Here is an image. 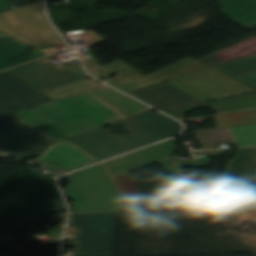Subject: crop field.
Returning <instances> with one entry per match:
<instances>
[{
    "mask_svg": "<svg viewBox=\"0 0 256 256\" xmlns=\"http://www.w3.org/2000/svg\"><path fill=\"white\" fill-rule=\"evenodd\" d=\"M12 115L53 142L130 118L89 90Z\"/></svg>",
    "mask_w": 256,
    "mask_h": 256,
    "instance_id": "obj_1",
    "label": "crop field"
},
{
    "mask_svg": "<svg viewBox=\"0 0 256 256\" xmlns=\"http://www.w3.org/2000/svg\"><path fill=\"white\" fill-rule=\"evenodd\" d=\"M204 67L207 66L187 57L147 76L130 67L106 83L166 111L202 103L163 81Z\"/></svg>",
    "mask_w": 256,
    "mask_h": 256,
    "instance_id": "obj_2",
    "label": "crop field"
},
{
    "mask_svg": "<svg viewBox=\"0 0 256 256\" xmlns=\"http://www.w3.org/2000/svg\"><path fill=\"white\" fill-rule=\"evenodd\" d=\"M69 179L62 191L74 200L70 215L120 212L124 198L102 163L71 173Z\"/></svg>",
    "mask_w": 256,
    "mask_h": 256,
    "instance_id": "obj_3",
    "label": "crop field"
},
{
    "mask_svg": "<svg viewBox=\"0 0 256 256\" xmlns=\"http://www.w3.org/2000/svg\"><path fill=\"white\" fill-rule=\"evenodd\" d=\"M0 30L48 55L66 46L46 20L42 0L0 13Z\"/></svg>",
    "mask_w": 256,
    "mask_h": 256,
    "instance_id": "obj_4",
    "label": "crop field"
},
{
    "mask_svg": "<svg viewBox=\"0 0 256 256\" xmlns=\"http://www.w3.org/2000/svg\"><path fill=\"white\" fill-rule=\"evenodd\" d=\"M119 215L70 216L65 236L78 239L76 253L112 252Z\"/></svg>",
    "mask_w": 256,
    "mask_h": 256,
    "instance_id": "obj_5",
    "label": "crop field"
},
{
    "mask_svg": "<svg viewBox=\"0 0 256 256\" xmlns=\"http://www.w3.org/2000/svg\"><path fill=\"white\" fill-rule=\"evenodd\" d=\"M166 83L200 99L216 100L243 95L255 90L207 67L168 81ZM205 102V101H204Z\"/></svg>",
    "mask_w": 256,
    "mask_h": 256,
    "instance_id": "obj_6",
    "label": "crop field"
},
{
    "mask_svg": "<svg viewBox=\"0 0 256 256\" xmlns=\"http://www.w3.org/2000/svg\"><path fill=\"white\" fill-rule=\"evenodd\" d=\"M49 59L52 58L11 71L42 92L90 78L66 64L57 66L47 61Z\"/></svg>",
    "mask_w": 256,
    "mask_h": 256,
    "instance_id": "obj_7",
    "label": "crop field"
},
{
    "mask_svg": "<svg viewBox=\"0 0 256 256\" xmlns=\"http://www.w3.org/2000/svg\"><path fill=\"white\" fill-rule=\"evenodd\" d=\"M52 176L100 161L68 139L53 143L36 159Z\"/></svg>",
    "mask_w": 256,
    "mask_h": 256,
    "instance_id": "obj_8",
    "label": "crop field"
},
{
    "mask_svg": "<svg viewBox=\"0 0 256 256\" xmlns=\"http://www.w3.org/2000/svg\"><path fill=\"white\" fill-rule=\"evenodd\" d=\"M121 124L148 144L172 137L182 130L179 122L153 110L123 121Z\"/></svg>",
    "mask_w": 256,
    "mask_h": 256,
    "instance_id": "obj_9",
    "label": "crop field"
},
{
    "mask_svg": "<svg viewBox=\"0 0 256 256\" xmlns=\"http://www.w3.org/2000/svg\"><path fill=\"white\" fill-rule=\"evenodd\" d=\"M175 138L105 162L112 177L173 157Z\"/></svg>",
    "mask_w": 256,
    "mask_h": 256,
    "instance_id": "obj_10",
    "label": "crop field"
},
{
    "mask_svg": "<svg viewBox=\"0 0 256 256\" xmlns=\"http://www.w3.org/2000/svg\"><path fill=\"white\" fill-rule=\"evenodd\" d=\"M52 143L27 126L0 134V147L21 160L40 155Z\"/></svg>",
    "mask_w": 256,
    "mask_h": 256,
    "instance_id": "obj_11",
    "label": "crop field"
},
{
    "mask_svg": "<svg viewBox=\"0 0 256 256\" xmlns=\"http://www.w3.org/2000/svg\"><path fill=\"white\" fill-rule=\"evenodd\" d=\"M47 57L9 37L0 38V72Z\"/></svg>",
    "mask_w": 256,
    "mask_h": 256,
    "instance_id": "obj_12",
    "label": "crop field"
},
{
    "mask_svg": "<svg viewBox=\"0 0 256 256\" xmlns=\"http://www.w3.org/2000/svg\"><path fill=\"white\" fill-rule=\"evenodd\" d=\"M195 153L199 154V155H204L205 158L181 161L177 156H175L173 158L160 161L158 163L160 165H162L168 172H170L175 178H177L181 183H183L186 186L222 182V180H223V178L233 160L232 158H229V160L219 178L193 181L190 178H188L182 174L181 169L184 167H187V166L207 167V154L223 153V151H208V152H195Z\"/></svg>",
    "mask_w": 256,
    "mask_h": 256,
    "instance_id": "obj_13",
    "label": "crop field"
},
{
    "mask_svg": "<svg viewBox=\"0 0 256 256\" xmlns=\"http://www.w3.org/2000/svg\"><path fill=\"white\" fill-rule=\"evenodd\" d=\"M85 135L114 156L147 145L133 135H116L105 130L104 128L85 133Z\"/></svg>",
    "mask_w": 256,
    "mask_h": 256,
    "instance_id": "obj_14",
    "label": "crop field"
},
{
    "mask_svg": "<svg viewBox=\"0 0 256 256\" xmlns=\"http://www.w3.org/2000/svg\"><path fill=\"white\" fill-rule=\"evenodd\" d=\"M87 35L89 39L82 40V42H85L86 46L85 49L88 53V55L79 56L87 70L95 77L101 79L104 78L110 74H113L115 72L119 73L129 67L127 64L122 62L121 60L115 61L109 65L101 67L98 62L93 57L90 47L95 46L97 44H100L102 42L107 41L106 39L102 38L101 36L95 34L92 31H86L85 34L77 35L78 37Z\"/></svg>",
    "mask_w": 256,
    "mask_h": 256,
    "instance_id": "obj_15",
    "label": "crop field"
},
{
    "mask_svg": "<svg viewBox=\"0 0 256 256\" xmlns=\"http://www.w3.org/2000/svg\"><path fill=\"white\" fill-rule=\"evenodd\" d=\"M200 108H211L217 113L239 109H251L256 108V97L254 96V94L244 95L234 98L223 99L215 102H210L206 104L191 106L187 108L172 110L165 113L176 119H180L186 117V112Z\"/></svg>",
    "mask_w": 256,
    "mask_h": 256,
    "instance_id": "obj_16",
    "label": "crop field"
},
{
    "mask_svg": "<svg viewBox=\"0 0 256 256\" xmlns=\"http://www.w3.org/2000/svg\"><path fill=\"white\" fill-rule=\"evenodd\" d=\"M229 19L250 30L256 27V0H219Z\"/></svg>",
    "mask_w": 256,
    "mask_h": 256,
    "instance_id": "obj_17",
    "label": "crop field"
},
{
    "mask_svg": "<svg viewBox=\"0 0 256 256\" xmlns=\"http://www.w3.org/2000/svg\"><path fill=\"white\" fill-rule=\"evenodd\" d=\"M40 93L39 90L8 71L0 74V105Z\"/></svg>",
    "mask_w": 256,
    "mask_h": 256,
    "instance_id": "obj_18",
    "label": "crop field"
},
{
    "mask_svg": "<svg viewBox=\"0 0 256 256\" xmlns=\"http://www.w3.org/2000/svg\"><path fill=\"white\" fill-rule=\"evenodd\" d=\"M51 101L50 98L40 93L22 100H18L3 106H0V133L8 131L20 126H24L23 123L18 121L10 114Z\"/></svg>",
    "mask_w": 256,
    "mask_h": 256,
    "instance_id": "obj_19",
    "label": "crop field"
},
{
    "mask_svg": "<svg viewBox=\"0 0 256 256\" xmlns=\"http://www.w3.org/2000/svg\"><path fill=\"white\" fill-rule=\"evenodd\" d=\"M90 90L128 116L149 109V107L115 91L106 85L99 86Z\"/></svg>",
    "mask_w": 256,
    "mask_h": 256,
    "instance_id": "obj_20",
    "label": "crop field"
},
{
    "mask_svg": "<svg viewBox=\"0 0 256 256\" xmlns=\"http://www.w3.org/2000/svg\"><path fill=\"white\" fill-rule=\"evenodd\" d=\"M256 53V36L252 37L246 41H243L239 44H236L232 47H229L223 51H220L216 54H213L211 56H208L204 59H201L199 61L205 62L209 61L212 62L208 64L209 66L213 67L218 64L231 61L237 58H241L250 54Z\"/></svg>",
    "mask_w": 256,
    "mask_h": 256,
    "instance_id": "obj_21",
    "label": "crop field"
},
{
    "mask_svg": "<svg viewBox=\"0 0 256 256\" xmlns=\"http://www.w3.org/2000/svg\"><path fill=\"white\" fill-rule=\"evenodd\" d=\"M219 128L256 124V109L213 115Z\"/></svg>",
    "mask_w": 256,
    "mask_h": 256,
    "instance_id": "obj_22",
    "label": "crop field"
},
{
    "mask_svg": "<svg viewBox=\"0 0 256 256\" xmlns=\"http://www.w3.org/2000/svg\"><path fill=\"white\" fill-rule=\"evenodd\" d=\"M232 77L256 69V54L213 67Z\"/></svg>",
    "mask_w": 256,
    "mask_h": 256,
    "instance_id": "obj_23",
    "label": "crop field"
},
{
    "mask_svg": "<svg viewBox=\"0 0 256 256\" xmlns=\"http://www.w3.org/2000/svg\"><path fill=\"white\" fill-rule=\"evenodd\" d=\"M237 147L256 146V125L228 128Z\"/></svg>",
    "mask_w": 256,
    "mask_h": 256,
    "instance_id": "obj_24",
    "label": "crop field"
},
{
    "mask_svg": "<svg viewBox=\"0 0 256 256\" xmlns=\"http://www.w3.org/2000/svg\"><path fill=\"white\" fill-rule=\"evenodd\" d=\"M97 80L90 78L88 80H84L81 82H77L65 87H61L55 90H52L50 92L45 93L47 96L51 97L52 99L56 100L61 97L77 93L83 90H87L96 86H99L100 84L96 83Z\"/></svg>",
    "mask_w": 256,
    "mask_h": 256,
    "instance_id": "obj_25",
    "label": "crop field"
},
{
    "mask_svg": "<svg viewBox=\"0 0 256 256\" xmlns=\"http://www.w3.org/2000/svg\"><path fill=\"white\" fill-rule=\"evenodd\" d=\"M69 139L101 160L113 157V155H111L109 152L104 150L102 147L94 143L92 140H90L83 134Z\"/></svg>",
    "mask_w": 256,
    "mask_h": 256,
    "instance_id": "obj_26",
    "label": "crop field"
},
{
    "mask_svg": "<svg viewBox=\"0 0 256 256\" xmlns=\"http://www.w3.org/2000/svg\"><path fill=\"white\" fill-rule=\"evenodd\" d=\"M232 78L256 89V70Z\"/></svg>",
    "mask_w": 256,
    "mask_h": 256,
    "instance_id": "obj_27",
    "label": "crop field"
},
{
    "mask_svg": "<svg viewBox=\"0 0 256 256\" xmlns=\"http://www.w3.org/2000/svg\"><path fill=\"white\" fill-rule=\"evenodd\" d=\"M27 3H30V0H0V12L12 9L11 7L13 6L18 7ZM7 6L10 7L7 8Z\"/></svg>",
    "mask_w": 256,
    "mask_h": 256,
    "instance_id": "obj_28",
    "label": "crop field"
},
{
    "mask_svg": "<svg viewBox=\"0 0 256 256\" xmlns=\"http://www.w3.org/2000/svg\"><path fill=\"white\" fill-rule=\"evenodd\" d=\"M73 256H112V253L73 254Z\"/></svg>",
    "mask_w": 256,
    "mask_h": 256,
    "instance_id": "obj_29",
    "label": "crop field"
},
{
    "mask_svg": "<svg viewBox=\"0 0 256 256\" xmlns=\"http://www.w3.org/2000/svg\"><path fill=\"white\" fill-rule=\"evenodd\" d=\"M9 155H7L6 153L2 152L0 150V158H4V157H8Z\"/></svg>",
    "mask_w": 256,
    "mask_h": 256,
    "instance_id": "obj_30",
    "label": "crop field"
},
{
    "mask_svg": "<svg viewBox=\"0 0 256 256\" xmlns=\"http://www.w3.org/2000/svg\"><path fill=\"white\" fill-rule=\"evenodd\" d=\"M4 35H5V34H3V33L0 32V36H4Z\"/></svg>",
    "mask_w": 256,
    "mask_h": 256,
    "instance_id": "obj_31",
    "label": "crop field"
}]
</instances>
